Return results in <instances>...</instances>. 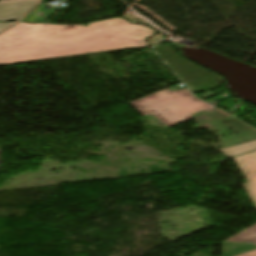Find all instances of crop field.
Here are the masks:
<instances>
[{"label":"crop field","mask_w":256,"mask_h":256,"mask_svg":"<svg viewBox=\"0 0 256 256\" xmlns=\"http://www.w3.org/2000/svg\"><path fill=\"white\" fill-rule=\"evenodd\" d=\"M42 5H39L35 10H33L30 14L33 16L28 19L26 22L29 23H36V22H43L45 23L52 15L53 13L51 11H48L46 13L40 11L42 8Z\"/></svg>","instance_id":"obj_8"},{"label":"crop field","mask_w":256,"mask_h":256,"mask_svg":"<svg viewBox=\"0 0 256 256\" xmlns=\"http://www.w3.org/2000/svg\"><path fill=\"white\" fill-rule=\"evenodd\" d=\"M8 25H10V24H0V30H2L3 28H5Z\"/></svg>","instance_id":"obj_10"},{"label":"crop field","mask_w":256,"mask_h":256,"mask_svg":"<svg viewBox=\"0 0 256 256\" xmlns=\"http://www.w3.org/2000/svg\"><path fill=\"white\" fill-rule=\"evenodd\" d=\"M248 240L253 242V245H256V224L238 233L237 235L227 239L226 241H238L245 243Z\"/></svg>","instance_id":"obj_6"},{"label":"crop field","mask_w":256,"mask_h":256,"mask_svg":"<svg viewBox=\"0 0 256 256\" xmlns=\"http://www.w3.org/2000/svg\"><path fill=\"white\" fill-rule=\"evenodd\" d=\"M129 105L143 116L151 114L169 127L191 119V114L202 109L208 112L216 109L192 96L187 89L171 92L168 88Z\"/></svg>","instance_id":"obj_2"},{"label":"crop field","mask_w":256,"mask_h":256,"mask_svg":"<svg viewBox=\"0 0 256 256\" xmlns=\"http://www.w3.org/2000/svg\"><path fill=\"white\" fill-rule=\"evenodd\" d=\"M31 17V15L30 14H28L24 19H23V21H26L28 18H30Z\"/></svg>","instance_id":"obj_11"},{"label":"crop field","mask_w":256,"mask_h":256,"mask_svg":"<svg viewBox=\"0 0 256 256\" xmlns=\"http://www.w3.org/2000/svg\"><path fill=\"white\" fill-rule=\"evenodd\" d=\"M239 256H256V250Z\"/></svg>","instance_id":"obj_9"},{"label":"crop field","mask_w":256,"mask_h":256,"mask_svg":"<svg viewBox=\"0 0 256 256\" xmlns=\"http://www.w3.org/2000/svg\"><path fill=\"white\" fill-rule=\"evenodd\" d=\"M234 160L247 181L243 187L256 208V151L234 157Z\"/></svg>","instance_id":"obj_3"},{"label":"crop field","mask_w":256,"mask_h":256,"mask_svg":"<svg viewBox=\"0 0 256 256\" xmlns=\"http://www.w3.org/2000/svg\"><path fill=\"white\" fill-rule=\"evenodd\" d=\"M152 34L122 18L88 26L20 22L0 34V66L146 47Z\"/></svg>","instance_id":"obj_1"},{"label":"crop field","mask_w":256,"mask_h":256,"mask_svg":"<svg viewBox=\"0 0 256 256\" xmlns=\"http://www.w3.org/2000/svg\"><path fill=\"white\" fill-rule=\"evenodd\" d=\"M3 1H9V0H0V2H3Z\"/></svg>","instance_id":"obj_12"},{"label":"crop field","mask_w":256,"mask_h":256,"mask_svg":"<svg viewBox=\"0 0 256 256\" xmlns=\"http://www.w3.org/2000/svg\"><path fill=\"white\" fill-rule=\"evenodd\" d=\"M37 0L0 4V21L20 18Z\"/></svg>","instance_id":"obj_4"},{"label":"crop field","mask_w":256,"mask_h":256,"mask_svg":"<svg viewBox=\"0 0 256 256\" xmlns=\"http://www.w3.org/2000/svg\"><path fill=\"white\" fill-rule=\"evenodd\" d=\"M253 149H256V141H252V142H249V143H245V144H241V145L221 149L220 151L227 158H229V157H232V156H235L237 154H240V153H243V152H246V151H249V150H253Z\"/></svg>","instance_id":"obj_7"},{"label":"crop field","mask_w":256,"mask_h":256,"mask_svg":"<svg viewBox=\"0 0 256 256\" xmlns=\"http://www.w3.org/2000/svg\"><path fill=\"white\" fill-rule=\"evenodd\" d=\"M223 255L222 256H236L242 253H246L256 249V246L238 244V243H225L222 244Z\"/></svg>","instance_id":"obj_5"}]
</instances>
